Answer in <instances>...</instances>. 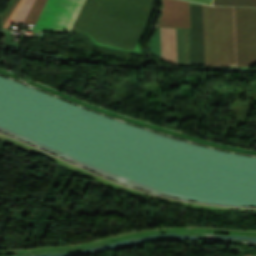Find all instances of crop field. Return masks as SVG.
<instances>
[{"mask_svg": "<svg viewBox=\"0 0 256 256\" xmlns=\"http://www.w3.org/2000/svg\"><path fill=\"white\" fill-rule=\"evenodd\" d=\"M100 8L89 29L99 43L133 50L155 0H98Z\"/></svg>", "mask_w": 256, "mask_h": 256, "instance_id": "obj_1", "label": "crop field"}, {"mask_svg": "<svg viewBox=\"0 0 256 256\" xmlns=\"http://www.w3.org/2000/svg\"><path fill=\"white\" fill-rule=\"evenodd\" d=\"M205 66L236 67L234 8L202 5Z\"/></svg>", "mask_w": 256, "mask_h": 256, "instance_id": "obj_2", "label": "crop field"}, {"mask_svg": "<svg viewBox=\"0 0 256 256\" xmlns=\"http://www.w3.org/2000/svg\"><path fill=\"white\" fill-rule=\"evenodd\" d=\"M85 0H47L33 32H69Z\"/></svg>", "mask_w": 256, "mask_h": 256, "instance_id": "obj_3", "label": "crop field"}, {"mask_svg": "<svg viewBox=\"0 0 256 256\" xmlns=\"http://www.w3.org/2000/svg\"><path fill=\"white\" fill-rule=\"evenodd\" d=\"M237 67L256 65L255 9L235 8Z\"/></svg>", "mask_w": 256, "mask_h": 256, "instance_id": "obj_4", "label": "crop field"}, {"mask_svg": "<svg viewBox=\"0 0 256 256\" xmlns=\"http://www.w3.org/2000/svg\"><path fill=\"white\" fill-rule=\"evenodd\" d=\"M163 9L158 26L188 28V2L181 0H162Z\"/></svg>", "mask_w": 256, "mask_h": 256, "instance_id": "obj_5", "label": "crop field"}, {"mask_svg": "<svg viewBox=\"0 0 256 256\" xmlns=\"http://www.w3.org/2000/svg\"><path fill=\"white\" fill-rule=\"evenodd\" d=\"M191 22L192 66H204L201 5L189 2Z\"/></svg>", "mask_w": 256, "mask_h": 256, "instance_id": "obj_6", "label": "crop field"}, {"mask_svg": "<svg viewBox=\"0 0 256 256\" xmlns=\"http://www.w3.org/2000/svg\"><path fill=\"white\" fill-rule=\"evenodd\" d=\"M161 59L177 65L175 29L160 28Z\"/></svg>", "mask_w": 256, "mask_h": 256, "instance_id": "obj_7", "label": "crop field"}, {"mask_svg": "<svg viewBox=\"0 0 256 256\" xmlns=\"http://www.w3.org/2000/svg\"><path fill=\"white\" fill-rule=\"evenodd\" d=\"M97 8L94 0H86L70 33H85Z\"/></svg>", "mask_w": 256, "mask_h": 256, "instance_id": "obj_8", "label": "crop field"}, {"mask_svg": "<svg viewBox=\"0 0 256 256\" xmlns=\"http://www.w3.org/2000/svg\"><path fill=\"white\" fill-rule=\"evenodd\" d=\"M176 38H177V56H178V65L188 66V57H189V66H191V56H190V34L187 30L188 38V57H187V38L186 30L176 29Z\"/></svg>", "mask_w": 256, "mask_h": 256, "instance_id": "obj_9", "label": "crop field"}, {"mask_svg": "<svg viewBox=\"0 0 256 256\" xmlns=\"http://www.w3.org/2000/svg\"><path fill=\"white\" fill-rule=\"evenodd\" d=\"M213 5L256 7V0H213Z\"/></svg>", "mask_w": 256, "mask_h": 256, "instance_id": "obj_10", "label": "crop field"}, {"mask_svg": "<svg viewBox=\"0 0 256 256\" xmlns=\"http://www.w3.org/2000/svg\"><path fill=\"white\" fill-rule=\"evenodd\" d=\"M46 0H36L24 23H35Z\"/></svg>", "mask_w": 256, "mask_h": 256, "instance_id": "obj_11", "label": "crop field"}, {"mask_svg": "<svg viewBox=\"0 0 256 256\" xmlns=\"http://www.w3.org/2000/svg\"><path fill=\"white\" fill-rule=\"evenodd\" d=\"M35 0H26L14 22H23Z\"/></svg>", "mask_w": 256, "mask_h": 256, "instance_id": "obj_12", "label": "crop field"}, {"mask_svg": "<svg viewBox=\"0 0 256 256\" xmlns=\"http://www.w3.org/2000/svg\"><path fill=\"white\" fill-rule=\"evenodd\" d=\"M25 0H21L18 4V6L16 7V9L14 10V12L12 13L11 17L9 18V20L7 21L6 25L4 26V28H9L11 22L13 21V19L15 18L17 12L19 11L20 7L22 6L23 2Z\"/></svg>", "mask_w": 256, "mask_h": 256, "instance_id": "obj_13", "label": "crop field"}, {"mask_svg": "<svg viewBox=\"0 0 256 256\" xmlns=\"http://www.w3.org/2000/svg\"><path fill=\"white\" fill-rule=\"evenodd\" d=\"M19 2V0H16L13 5L11 6V8L9 9V11L7 12V14L5 15V17L3 18V20L0 23V26L3 27V25L5 24V22L7 21L8 17L10 16V14L12 13V11L14 10V8L16 7L17 3Z\"/></svg>", "mask_w": 256, "mask_h": 256, "instance_id": "obj_14", "label": "crop field"}, {"mask_svg": "<svg viewBox=\"0 0 256 256\" xmlns=\"http://www.w3.org/2000/svg\"><path fill=\"white\" fill-rule=\"evenodd\" d=\"M190 1H195V2H201V3L211 4V0H190Z\"/></svg>", "mask_w": 256, "mask_h": 256, "instance_id": "obj_15", "label": "crop field"}]
</instances>
